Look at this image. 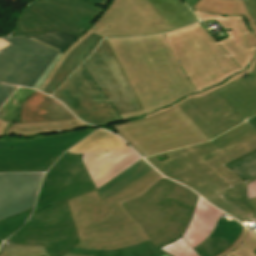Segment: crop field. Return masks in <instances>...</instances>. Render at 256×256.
<instances>
[{
  "mask_svg": "<svg viewBox=\"0 0 256 256\" xmlns=\"http://www.w3.org/2000/svg\"><path fill=\"white\" fill-rule=\"evenodd\" d=\"M197 200L194 192L164 178L124 206L159 248L183 235Z\"/></svg>",
  "mask_w": 256,
  "mask_h": 256,
  "instance_id": "obj_6",
  "label": "crop field"
},
{
  "mask_svg": "<svg viewBox=\"0 0 256 256\" xmlns=\"http://www.w3.org/2000/svg\"><path fill=\"white\" fill-rule=\"evenodd\" d=\"M103 37L93 33L83 43H81L72 53L68 55L62 66L56 72L48 86L44 89L52 94L55 89L66 79L89 56L96 45Z\"/></svg>",
  "mask_w": 256,
  "mask_h": 256,
  "instance_id": "obj_20",
  "label": "crop field"
},
{
  "mask_svg": "<svg viewBox=\"0 0 256 256\" xmlns=\"http://www.w3.org/2000/svg\"><path fill=\"white\" fill-rule=\"evenodd\" d=\"M153 169L149 164H147L143 159L139 160L129 169L121 173L119 176L102 186L98 189L101 200L109 197L116 191L120 190L127 184L131 183L135 179L139 178L146 172Z\"/></svg>",
  "mask_w": 256,
  "mask_h": 256,
  "instance_id": "obj_24",
  "label": "crop field"
},
{
  "mask_svg": "<svg viewBox=\"0 0 256 256\" xmlns=\"http://www.w3.org/2000/svg\"><path fill=\"white\" fill-rule=\"evenodd\" d=\"M255 253H256V251H255Z\"/></svg>",
  "mask_w": 256,
  "mask_h": 256,
  "instance_id": "obj_48",
  "label": "crop field"
},
{
  "mask_svg": "<svg viewBox=\"0 0 256 256\" xmlns=\"http://www.w3.org/2000/svg\"><path fill=\"white\" fill-rule=\"evenodd\" d=\"M25 37L47 45L62 54L79 38L58 30Z\"/></svg>",
  "mask_w": 256,
  "mask_h": 256,
  "instance_id": "obj_25",
  "label": "crop field"
},
{
  "mask_svg": "<svg viewBox=\"0 0 256 256\" xmlns=\"http://www.w3.org/2000/svg\"><path fill=\"white\" fill-rule=\"evenodd\" d=\"M254 151L256 131L244 122L206 143L145 159L246 224L256 222V198L247 199V184L225 165Z\"/></svg>",
  "mask_w": 256,
  "mask_h": 256,
  "instance_id": "obj_2",
  "label": "crop field"
},
{
  "mask_svg": "<svg viewBox=\"0 0 256 256\" xmlns=\"http://www.w3.org/2000/svg\"><path fill=\"white\" fill-rule=\"evenodd\" d=\"M222 212L199 197L184 238L194 248L212 232Z\"/></svg>",
  "mask_w": 256,
  "mask_h": 256,
  "instance_id": "obj_19",
  "label": "crop field"
},
{
  "mask_svg": "<svg viewBox=\"0 0 256 256\" xmlns=\"http://www.w3.org/2000/svg\"><path fill=\"white\" fill-rule=\"evenodd\" d=\"M77 119L58 101L36 91L22 105L21 122Z\"/></svg>",
  "mask_w": 256,
  "mask_h": 256,
  "instance_id": "obj_17",
  "label": "crop field"
},
{
  "mask_svg": "<svg viewBox=\"0 0 256 256\" xmlns=\"http://www.w3.org/2000/svg\"><path fill=\"white\" fill-rule=\"evenodd\" d=\"M63 256H78V255H69V254H65Z\"/></svg>",
  "mask_w": 256,
  "mask_h": 256,
  "instance_id": "obj_45",
  "label": "crop field"
},
{
  "mask_svg": "<svg viewBox=\"0 0 256 256\" xmlns=\"http://www.w3.org/2000/svg\"><path fill=\"white\" fill-rule=\"evenodd\" d=\"M252 233L248 232L243 243L227 256H256L253 253L256 250V235Z\"/></svg>",
  "mask_w": 256,
  "mask_h": 256,
  "instance_id": "obj_31",
  "label": "crop field"
},
{
  "mask_svg": "<svg viewBox=\"0 0 256 256\" xmlns=\"http://www.w3.org/2000/svg\"><path fill=\"white\" fill-rule=\"evenodd\" d=\"M193 12L202 20L216 19L226 29L230 28V32L225 31L229 37L216 42L200 23L166 33L178 62H181L184 72L199 93L149 113L148 117L162 113L189 98L204 96L254 69L256 47L247 49L244 35L251 33V30L243 17Z\"/></svg>",
  "mask_w": 256,
  "mask_h": 256,
  "instance_id": "obj_3",
  "label": "crop field"
},
{
  "mask_svg": "<svg viewBox=\"0 0 256 256\" xmlns=\"http://www.w3.org/2000/svg\"><path fill=\"white\" fill-rule=\"evenodd\" d=\"M143 114H145V113L142 110V111H138V112L122 115V117H123V119H126V118H131V117H135V116H139V115H143Z\"/></svg>",
  "mask_w": 256,
  "mask_h": 256,
  "instance_id": "obj_38",
  "label": "crop field"
},
{
  "mask_svg": "<svg viewBox=\"0 0 256 256\" xmlns=\"http://www.w3.org/2000/svg\"><path fill=\"white\" fill-rule=\"evenodd\" d=\"M242 225L222 213L210 236L194 248L200 256H214L226 250L242 231Z\"/></svg>",
  "mask_w": 256,
  "mask_h": 256,
  "instance_id": "obj_18",
  "label": "crop field"
},
{
  "mask_svg": "<svg viewBox=\"0 0 256 256\" xmlns=\"http://www.w3.org/2000/svg\"><path fill=\"white\" fill-rule=\"evenodd\" d=\"M187 8L181 0H113L93 25L62 55L41 88L47 86L67 55L93 32L103 37L166 32L198 22Z\"/></svg>",
  "mask_w": 256,
  "mask_h": 256,
  "instance_id": "obj_5",
  "label": "crop field"
},
{
  "mask_svg": "<svg viewBox=\"0 0 256 256\" xmlns=\"http://www.w3.org/2000/svg\"><path fill=\"white\" fill-rule=\"evenodd\" d=\"M191 9L199 0H183Z\"/></svg>",
  "mask_w": 256,
  "mask_h": 256,
  "instance_id": "obj_42",
  "label": "crop field"
},
{
  "mask_svg": "<svg viewBox=\"0 0 256 256\" xmlns=\"http://www.w3.org/2000/svg\"><path fill=\"white\" fill-rule=\"evenodd\" d=\"M3 39L12 44L0 51V82L32 87L57 52L25 37Z\"/></svg>",
  "mask_w": 256,
  "mask_h": 256,
  "instance_id": "obj_13",
  "label": "crop field"
},
{
  "mask_svg": "<svg viewBox=\"0 0 256 256\" xmlns=\"http://www.w3.org/2000/svg\"><path fill=\"white\" fill-rule=\"evenodd\" d=\"M33 209L22 214H19L13 218L0 222V244L12 233H14L25 220L30 216Z\"/></svg>",
  "mask_w": 256,
  "mask_h": 256,
  "instance_id": "obj_29",
  "label": "crop field"
},
{
  "mask_svg": "<svg viewBox=\"0 0 256 256\" xmlns=\"http://www.w3.org/2000/svg\"><path fill=\"white\" fill-rule=\"evenodd\" d=\"M10 44H11V43H9V42H7V41H5V40H3V39L0 38V50H1L2 48H4V47L10 45Z\"/></svg>",
  "mask_w": 256,
  "mask_h": 256,
  "instance_id": "obj_43",
  "label": "crop field"
},
{
  "mask_svg": "<svg viewBox=\"0 0 256 256\" xmlns=\"http://www.w3.org/2000/svg\"><path fill=\"white\" fill-rule=\"evenodd\" d=\"M246 122L256 130V115Z\"/></svg>",
  "mask_w": 256,
  "mask_h": 256,
  "instance_id": "obj_41",
  "label": "crop field"
},
{
  "mask_svg": "<svg viewBox=\"0 0 256 256\" xmlns=\"http://www.w3.org/2000/svg\"><path fill=\"white\" fill-rule=\"evenodd\" d=\"M250 76L178 106L211 140L256 114V67Z\"/></svg>",
  "mask_w": 256,
  "mask_h": 256,
  "instance_id": "obj_7",
  "label": "crop field"
},
{
  "mask_svg": "<svg viewBox=\"0 0 256 256\" xmlns=\"http://www.w3.org/2000/svg\"><path fill=\"white\" fill-rule=\"evenodd\" d=\"M83 64L121 115L142 110L122 67L106 39Z\"/></svg>",
  "mask_w": 256,
  "mask_h": 256,
  "instance_id": "obj_14",
  "label": "crop field"
},
{
  "mask_svg": "<svg viewBox=\"0 0 256 256\" xmlns=\"http://www.w3.org/2000/svg\"><path fill=\"white\" fill-rule=\"evenodd\" d=\"M248 48L256 46V36L251 33L245 36Z\"/></svg>",
  "mask_w": 256,
  "mask_h": 256,
  "instance_id": "obj_37",
  "label": "crop field"
},
{
  "mask_svg": "<svg viewBox=\"0 0 256 256\" xmlns=\"http://www.w3.org/2000/svg\"><path fill=\"white\" fill-rule=\"evenodd\" d=\"M17 87L0 84V106L4 103Z\"/></svg>",
  "mask_w": 256,
  "mask_h": 256,
  "instance_id": "obj_33",
  "label": "crop field"
},
{
  "mask_svg": "<svg viewBox=\"0 0 256 256\" xmlns=\"http://www.w3.org/2000/svg\"><path fill=\"white\" fill-rule=\"evenodd\" d=\"M86 1H89V2H92V3H95V4H99V5H103V6H106L107 2L109 0H86Z\"/></svg>",
  "mask_w": 256,
  "mask_h": 256,
  "instance_id": "obj_40",
  "label": "crop field"
},
{
  "mask_svg": "<svg viewBox=\"0 0 256 256\" xmlns=\"http://www.w3.org/2000/svg\"><path fill=\"white\" fill-rule=\"evenodd\" d=\"M244 1L253 22L256 24V0H244Z\"/></svg>",
  "mask_w": 256,
  "mask_h": 256,
  "instance_id": "obj_35",
  "label": "crop field"
},
{
  "mask_svg": "<svg viewBox=\"0 0 256 256\" xmlns=\"http://www.w3.org/2000/svg\"><path fill=\"white\" fill-rule=\"evenodd\" d=\"M52 96L61 100L77 117L91 124L102 125L123 120L83 64Z\"/></svg>",
  "mask_w": 256,
  "mask_h": 256,
  "instance_id": "obj_12",
  "label": "crop field"
},
{
  "mask_svg": "<svg viewBox=\"0 0 256 256\" xmlns=\"http://www.w3.org/2000/svg\"><path fill=\"white\" fill-rule=\"evenodd\" d=\"M162 178L153 169L102 202L95 190L35 212L8 241L43 244L58 256L73 247L113 249L149 240L122 203L140 197Z\"/></svg>",
  "mask_w": 256,
  "mask_h": 256,
  "instance_id": "obj_1",
  "label": "crop field"
},
{
  "mask_svg": "<svg viewBox=\"0 0 256 256\" xmlns=\"http://www.w3.org/2000/svg\"><path fill=\"white\" fill-rule=\"evenodd\" d=\"M65 253L90 256H161L165 254L161 250L157 249L151 240L121 249L89 250L73 248Z\"/></svg>",
  "mask_w": 256,
  "mask_h": 256,
  "instance_id": "obj_23",
  "label": "crop field"
},
{
  "mask_svg": "<svg viewBox=\"0 0 256 256\" xmlns=\"http://www.w3.org/2000/svg\"><path fill=\"white\" fill-rule=\"evenodd\" d=\"M192 9L223 15L244 16L248 26L256 35V25L251 21L243 0H200Z\"/></svg>",
  "mask_w": 256,
  "mask_h": 256,
  "instance_id": "obj_22",
  "label": "crop field"
},
{
  "mask_svg": "<svg viewBox=\"0 0 256 256\" xmlns=\"http://www.w3.org/2000/svg\"><path fill=\"white\" fill-rule=\"evenodd\" d=\"M0 256H7V255H6V253L4 252V253L0 254Z\"/></svg>",
  "mask_w": 256,
  "mask_h": 256,
  "instance_id": "obj_46",
  "label": "crop field"
},
{
  "mask_svg": "<svg viewBox=\"0 0 256 256\" xmlns=\"http://www.w3.org/2000/svg\"><path fill=\"white\" fill-rule=\"evenodd\" d=\"M34 92V90L20 87L1 108L0 112L4 114L0 117V119L8 123H19L21 105L23 104V101Z\"/></svg>",
  "mask_w": 256,
  "mask_h": 256,
  "instance_id": "obj_26",
  "label": "crop field"
},
{
  "mask_svg": "<svg viewBox=\"0 0 256 256\" xmlns=\"http://www.w3.org/2000/svg\"><path fill=\"white\" fill-rule=\"evenodd\" d=\"M110 127L143 157L209 140L178 106L154 117Z\"/></svg>",
  "mask_w": 256,
  "mask_h": 256,
  "instance_id": "obj_8",
  "label": "crop field"
},
{
  "mask_svg": "<svg viewBox=\"0 0 256 256\" xmlns=\"http://www.w3.org/2000/svg\"><path fill=\"white\" fill-rule=\"evenodd\" d=\"M255 179H256V176L253 177L252 179H249V180L245 181V182L248 183V182L253 181V180H255Z\"/></svg>",
  "mask_w": 256,
  "mask_h": 256,
  "instance_id": "obj_44",
  "label": "crop field"
},
{
  "mask_svg": "<svg viewBox=\"0 0 256 256\" xmlns=\"http://www.w3.org/2000/svg\"><path fill=\"white\" fill-rule=\"evenodd\" d=\"M61 54H57V56L53 59V61L50 63V65L46 68V70L43 72V74L40 76V78L37 80V82L34 84L33 88L40 90L42 92H45L43 89H41V85L44 82V80L47 78L51 70L54 68L58 60L60 59ZM50 95V94H49Z\"/></svg>",
  "mask_w": 256,
  "mask_h": 256,
  "instance_id": "obj_32",
  "label": "crop field"
},
{
  "mask_svg": "<svg viewBox=\"0 0 256 256\" xmlns=\"http://www.w3.org/2000/svg\"><path fill=\"white\" fill-rule=\"evenodd\" d=\"M82 129L32 139H0V173L47 171L59 156L92 132Z\"/></svg>",
  "mask_w": 256,
  "mask_h": 256,
  "instance_id": "obj_10",
  "label": "crop field"
},
{
  "mask_svg": "<svg viewBox=\"0 0 256 256\" xmlns=\"http://www.w3.org/2000/svg\"><path fill=\"white\" fill-rule=\"evenodd\" d=\"M247 197H248V199L256 197V180L251 183H248Z\"/></svg>",
  "mask_w": 256,
  "mask_h": 256,
  "instance_id": "obj_36",
  "label": "crop field"
},
{
  "mask_svg": "<svg viewBox=\"0 0 256 256\" xmlns=\"http://www.w3.org/2000/svg\"><path fill=\"white\" fill-rule=\"evenodd\" d=\"M43 174H0V221L34 207Z\"/></svg>",
  "mask_w": 256,
  "mask_h": 256,
  "instance_id": "obj_16",
  "label": "crop field"
},
{
  "mask_svg": "<svg viewBox=\"0 0 256 256\" xmlns=\"http://www.w3.org/2000/svg\"><path fill=\"white\" fill-rule=\"evenodd\" d=\"M67 152L81 157L97 189L141 159L121 138L100 129Z\"/></svg>",
  "mask_w": 256,
  "mask_h": 256,
  "instance_id": "obj_11",
  "label": "crop field"
},
{
  "mask_svg": "<svg viewBox=\"0 0 256 256\" xmlns=\"http://www.w3.org/2000/svg\"><path fill=\"white\" fill-rule=\"evenodd\" d=\"M4 251H6L8 256H50L43 245L2 244L0 253Z\"/></svg>",
  "mask_w": 256,
  "mask_h": 256,
  "instance_id": "obj_28",
  "label": "crop field"
},
{
  "mask_svg": "<svg viewBox=\"0 0 256 256\" xmlns=\"http://www.w3.org/2000/svg\"><path fill=\"white\" fill-rule=\"evenodd\" d=\"M108 41L146 114L197 93L163 34Z\"/></svg>",
  "mask_w": 256,
  "mask_h": 256,
  "instance_id": "obj_4",
  "label": "crop field"
},
{
  "mask_svg": "<svg viewBox=\"0 0 256 256\" xmlns=\"http://www.w3.org/2000/svg\"><path fill=\"white\" fill-rule=\"evenodd\" d=\"M227 166L245 181L256 175V152Z\"/></svg>",
  "mask_w": 256,
  "mask_h": 256,
  "instance_id": "obj_27",
  "label": "crop field"
},
{
  "mask_svg": "<svg viewBox=\"0 0 256 256\" xmlns=\"http://www.w3.org/2000/svg\"><path fill=\"white\" fill-rule=\"evenodd\" d=\"M95 190L80 157L65 153L47 172L36 210Z\"/></svg>",
  "mask_w": 256,
  "mask_h": 256,
  "instance_id": "obj_15",
  "label": "crop field"
},
{
  "mask_svg": "<svg viewBox=\"0 0 256 256\" xmlns=\"http://www.w3.org/2000/svg\"><path fill=\"white\" fill-rule=\"evenodd\" d=\"M164 256H169V255L166 254V255H164Z\"/></svg>",
  "mask_w": 256,
  "mask_h": 256,
  "instance_id": "obj_47",
  "label": "crop field"
},
{
  "mask_svg": "<svg viewBox=\"0 0 256 256\" xmlns=\"http://www.w3.org/2000/svg\"><path fill=\"white\" fill-rule=\"evenodd\" d=\"M85 125L79 120L10 124L5 135L32 136L43 132L72 130Z\"/></svg>",
  "mask_w": 256,
  "mask_h": 256,
  "instance_id": "obj_21",
  "label": "crop field"
},
{
  "mask_svg": "<svg viewBox=\"0 0 256 256\" xmlns=\"http://www.w3.org/2000/svg\"><path fill=\"white\" fill-rule=\"evenodd\" d=\"M103 11L82 0H37L18 18L13 33L32 35L58 29L81 36Z\"/></svg>",
  "mask_w": 256,
  "mask_h": 256,
  "instance_id": "obj_9",
  "label": "crop field"
},
{
  "mask_svg": "<svg viewBox=\"0 0 256 256\" xmlns=\"http://www.w3.org/2000/svg\"><path fill=\"white\" fill-rule=\"evenodd\" d=\"M7 126H8V123L0 120V136L4 135Z\"/></svg>",
  "mask_w": 256,
  "mask_h": 256,
  "instance_id": "obj_39",
  "label": "crop field"
},
{
  "mask_svg": "<svg viewBox=\"0 0 256 256\" xmlns=\"http://www.w3.org/2000/svg\"><path fill=\"white\" fill-rule=\"evenodd\" d=\"M160 249L171 256H199L183 237Z\"/></svg>",
  "mask_w": 256,
  "mask_h": 256,
  "instance_id": "obj_30",
  "label": "crop field"
},
{
  "mask_svg": "<svg viewBox=\"0 0 256 256\" xmlns=\"http://www.w3.org/2000/svg\"><path fill=\"white\" fill-rule=\"evenodd\" d=\"M248 230L246 228H244L243 232L241 233V235L238 237V239L236 240V242L231 245L225 252L217 255V256H225L228 253H230L233 249H235L237 246H239L241 244V242L244 240L246 234H247Z\"/></svg>",
  "mask_w": 256,
  "mask_h": 256,
  "instance_id": "obj_34",
  "label": "crop field"
}]
</instances>
